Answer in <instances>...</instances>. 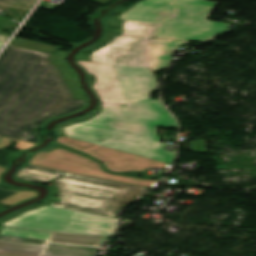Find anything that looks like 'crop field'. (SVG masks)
I'll return each mask as SVG.
<instances>
[{
    "mask_svg": "<svg viewBox=\"0 0 256 256\" xmlns=\"http://www.w3.org/2000/svg\"><path fill=\"white\" fill-rule=\"evenodd\" d=\"M105 238L0 227V256H91Z\"/></svg>",
    "mask_w": 256,
    "mask_h": 256,
    "instance_id": "5",
    "label": "crop field"
},
{
    "mask_svg": "<svg viewBox=\"0 0 256 256\" xmlns=\"http://www.w3.org/2000/svg\"><path fill=\"white\" fill-rule=\"evenodd\" d=\"M38 0H0V7L16 21L26 16Z\"/></svg>",
    "mask_w": 256,
    "mask_h": 256,
    "instance_id": "12",
    "label": "crop field"
},
{
    "mask_svg": "<svg viewBox=\"0 0 256 256\" xmlns=\"http://www.w3.org/2000/svg\"><path fill=\"white\" fill-rule=\"evenodd\" d=\"M216 3L205 0H146L120 15L121 20L155 24V37L205 42L228 25L206 21Z\"/></svg>",
    "mask_w": 256,
    "mask_h": 256,
    "instance_id": "3",
    "label": "crop field"
},
{
    "mask_svg": "<svg viewBox=\"0 0 256 256\" xmlns=\"http://www.w3.org/2000/svg\"><path fill=\"white\" fill-rule=\"evenodd\" d=\"M53 182L58 188L57 196L61 202L50 203L49 206L113 218L121 206L146 191L73 174H64Z\"/></svg>",
    "mask_w": 256,
    "mask_h": 256,
    "instance_id": "4",
    "label": "crop field"
},
{
    "mask_svg": "<svg viewBox=\"0 0 256 256\" xmlns=\"http://www.w3.org/2000/svg\"><path fill=\"white\" fill-rule=\"evenodd\" d=\"M5 171L4 168H0V174L3 173Z\"/></svg>",
    "mask_w": 256,
    "mask_h": 256,
    "instance_id": "25",
    "label": "crop field"
},
{
    "mask_svg": "<svg viewBox=\"0 0 256 256\" xmlns=\"http://www.w3.org/2000/svg\"><path fill=\"white\" fill-rule=\"evenodd\" d=\"M58 142L81 150L106 164L110 171H144L148 167L169 169L170 165L105 148L84 141L60 136Z\"/></svg>",
    "mask_w": 256,
    "mask_h": 256,
    "instance_id": "10",
    "label": "crop field"
},
{
    "mask_svg": "<svg viewBox=\"0 0 256 256\" xmlns=\"http://www.w3.org/2000/svg\"><path fill=\"white\" fill-rule=\"evenodd\" d=\"M31 145L33 144L17 140L15 148L21 149V148L29 147Z\"/></svg>",
    "mask_w": 256,
    "mask_h": 256,
    "instance_id": "21",
    "label": "crop field"
},
{
    "mask_svg": "<svg viewBox=\"0 0 256 256\" xmlns=\"http://www.w3.org/2000/svg\"><path fill=\"white\" fill-rule=\"evenodd\" d=\"M3 45V43L2 42H0V47Z\"/></svg>",
    "mask_w": 256,
    "mask_h": 256,
    "instance_id": "26",
    "label": "crop field"
},
{
    "mask_svg": "<svg viewBox=\"0 0 256 256\" xmlns=\"http://www.w3.org/2000/svg\"><path fill=\"white\" fill-rule=\"evenodd\" d=\"M65 55L8 44L0 55V135L37 144L35 129L85 107Z\"/></svg>",
    "mask_w": 256,
    "mask_h": 256,
    "instance_id": "1",
    "label": "crop field"
},
{
    "mask_svg": "<svg viewBox=\"0 0 256 256\" xmlns=\"http://www.w3.org/2000/svg\"><path fill=\"white\" fill-rule=\"evenodd\" d=\"M104 37L82 50L76 60L150 68L145 53L154 25L105 20Z\"/></svg>",
    "mask_w": 256,
    "mask_h": 256,
    "instance_id": "6",
    "label": "crop field"
},
{
    "mask_svg": "<svg viewBox=\"0 0 256 256\" xmlns=\"http://www.w3.org/2000/svg\"><path fill=\"white\" fill-rule=\"evenodd\" d=\"M10 44H14V45L34 49V50H39V51H43V52H48V53H53L61 48V47H57V46L45 45L43 43L30 41V40H26V39H22V38H18V37H15L10 42Z\"/></svg>",
    "mask_w": 256,
    "mask_h": 256,
    "instance_id": "14",
    "label": "crop field"
},
{
    "mask_svg": "<svg viewBox=\"0 0 256 256\" xmlns=\"http://www.w3.org/2000/svg\"><path fill=\"white\" fill-rule=\"evenodd\" d=\"M61 172L26 165L17 174V179L42 183L58 176Z\"/></svg>",
    "mask_w": 256,
    "mask_h": 256,
    "instance_id": "13",
    "label": "crop field"
},
{
    "mask_svg": "<svg viewBox=\"0 0 256 256\" xmlns=\"http://www.w3.org/2000/svg\"><path fill=\"white\" fill-rule=\"evenodd\" d=\"M10 37V34L0 30V41L5 42Z\"/></svg>",
    "mask_w": 256,
    "mask_h": 256,
    "instance_id": "23",
    "label": "crop field"
},
{
    "mask_svg": "<svg viewBox=\"0 0 256 256\" xmlns=\"http://www.w3.org/2000/svg\"><path fill=\"white\" fill-rule=\"evenodd\" d=\"M95 76L93 88L103 109L89 121L158 138L157 127L177 128L159 100L150 99L158 88L149 69L78 61ZM159 139V138H158Z\"/></svg>",
    "mask_w": 256,
    "mask_h": 256,
    "instance_id": "2",
    "label": "crop field"
},
{
    "mask_svg": "<svg viewBox=\"0 0 256 256\" xmlns=\"http://www.w3.org/2000/svg\"><path fill=\"white\" fill-rule=\"evenodd\" d=\"M14 193H16V192L6 191L4 189H0V200H2V199L6 198V197H8V196H10V195H12Z\"/></svg>",
    "mask_w": 256,
    "mask_h": 256,
    "instance_id": "22",
    "label": "crop field"
},
{
    "mask_svg": "<svg viewBox=\"0 0 256 256\" xmlns=\"http://www.w3.org/2000/svg\"><path fill=\"white\" fill-rule=\"evenodd\" d=\"M15 142L16 140L15 139H11L10 138V144L7 148H5L4 150H7V151H11V152H14L16 154H21L23 151L27 150L28 148L26 149H22V150H16L14 149V146H15ZM34 146V145H33Z\"/></svg>",
    "mask_w": 256,
    "mask_h": 256,
    "instance_id": "19",
    "label": "crop field"
},
{
    "mask_svg": "<svg viewBox=\"0 0 256 256\" xmlns=\"http://www.w3.org/2000/svg\"><path fill=\"white\" fill-rule=\"evenodd\" d=\"M16 23L10 21L9 19L2 17L0 18V26L4 29H11L14 28Z\"/></svg>",
    "mask_w": 256,
    "mask_h": 256,
    "instance_id": "17",
    "label": "crop field"
},
{
    "mask_svg": "<svg viewBox=\"0 0 256 256\" xmlns=\"http://www.w3.org/2000/svg\"><path fill=\"white\" fill-rule=\"evenodd\" d=\"M8 144H9V139L6 138V137H4V138L2 139V141L0 142V148L3 149V148L6 147Z\"/></svg>",
    "mask_w": 256,
    "mask_h": 256,
    "instance_id": "24",
    "label": "crop field"
},
{
    "mask_svg": "<svg viewBox=\"0 0 256 256\" xmlns=\"http://www.w3.org/2000/svg\"><path fill=\"white\" fill-rule=\"evenodd\" d=\"M192 151L206 152L205 139L189 142Z\"/></svg>",
    "mask_w": 256,
    "mask_h": 256,
    "instance_id": "16",
    "label": "crop field"
},
{
    "mask_svg": "<svg viewBox=\"0 0 256 256\" xmlns=\"http://www.w3.org/2000/svg\"><path fill=\"white\" fill-rule=\"evenodd\" d=\"M149 49L146 53V59L152 71L165 70L171 63L169 57L180 43L187 44L189 41L148 39Z\"/></svg>",
    "mask_w": 256,
    "mask_h": 256,
    "instance_id": "11",
    "label": "crop field"
},
{
    "mask_svg": "<svg viewBox=\"0 0 256 256\" xmlns=\"http://www.w3.org/2000/svg\"><path fill=\"white\" fill-rule=\"evenodd\" d=\"M35 193L32 191H25V192H18L16 194H14L13 196L1 201L0 203L11 206L15 203H18L22 200H25L27 198H30L32 196H34Z\"/></svg>",
    "mask_w": 256,
    "mask_h": 256,
    "instance_id": "15",
    "label": "crop field"
},
{
    "mask_svg": "<svg viewBox=\"0 0 256 256\" xmlns=\"http://www.w3.org/2000/svg\"><path fill=\"white\" fill-rule=\"evenodd\" d=\"M0 187L4 188L6 190H13V191H24V190H30V189H25V188H19V187H13V186H8L7 184H4L0 182Z\"/></svg>",
    "mask_w": 256,
    "mask_h": 256,
    "instance_id": "20",
    "label": "crop field"
},
{
    "mask_svg": "<svg viewBox=\"0 0 256 256\" xmlns=\"http://www.w3.org/2000/svg\"><path fill=\"white\" fill-rule=\"evenodd\" d=\"M11 154V152H6L2 149H0V165L7 167L8 165V160H7V156Z\"/></svg>",
    "mask_w": 256,
    "mask_h": 256,
    "instance_id": "18",
    "label": "crop field"
},
{
    "mask_svg": "<svg viewBox=\"0 0 256 256\" xmlns=\"http://www.w3.org/2000/svg\"><path fill=\"white\" fill-rule=\"evenodd\" d=\"M68 137L171 164L174 152L163 150L158 139L123 131L105 125L83 122L63 128Z\"/></svg>",
    "mask_w": 256,
    "mask_h": 256,
    "instance_id": "7",
    "label": "crop field"
},
{
    "mask_svg": "<svg viewBox=\"0 0 256 256\" xmlns=\"http://www.w3.org/2000/svg\"><path fill=\"white\" fill-rule=\"evenodd\" d=\"M116 224L117 219L113 218L42 206L3 225L110 237L116 230Z\"/></svg>",
    "mask_w": 256,
    "mask_h": 256,
    "instance_id": "8",
    "label": "crop field"
},
{
    "mask_svg": "<svg viewBox=\"0 0 256 256\" xmlns=\"http://www.w3.org/2000/svg\"><path fill=\"white\" fill-rule=\"evenodd\" d=\"M28 164L149 188L158 183L156 181L104 173L95 162L58 148L49 153L41 152L35 154Z\"/></svg>",
    "mask_w": 256,
    "mask_h": 256,
    "instance_id": "9",
    "label": "crop field"
}]
</instances>
